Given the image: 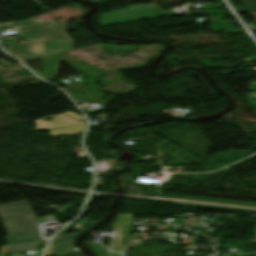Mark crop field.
<instances>
[{
  "mask_svg": "<svg viewBox=\"0 0 256 256\" xmlns=\"http://www.w3.org/2000/svg\"><path fill=\"white\" fill-rule=\"evenodd\" d=\"M29 243H31V245H28L27 242H24V243L8 246L9 252L20 251L21 253H24L25 250L33 249L37 252V255L35 256H39L41 251L38 250V245L45 244V241H42L40 239V240H37V242L30 241Z\"/></svg>",
  "mask_w": 256,
  "mask_h": 256,
  "instance_id": "6",
  "label": "crop field"
},
{
  "mask_svg": "<svg viewBox=\"0 0 256 256\" xmlns=\"http://www.w3.org/2000/svg\"><path fill=\"white\" fill-rule=\"evenodd\" d=\"M243 6L256 4V0H240Z\"/></svg>",
  "mask_w": 256,
  "mask_h": 256,
  "instance_id": "9",
  "label": "crop field"
},
{
  "mask_svg": "<svg viewBox=\"0 0 256 256\" xmlns=\"http://www.w3.org/2000/svg\"><path fill=\"white\" fill-rule=\"evenodd\" d=\"M53 118L51 121L45 119ZM48 130L50 136H65L82 133L85 130L84 120L78 122L66 115H55L44 119L36 120L35 131Z\"/></svg>",
  "mask_w": 256,
  "mask_h": 256,
  "instance_id": "4",
  "label": "crop field"
},
{
  "mask_svg": "<svg viewBox=\"0 0 256 256\" xmlns=\"http://www.w3.org/2000/svg\"><path fill=\"white\" fill-rule=\"evenodd\" d=\"M63 114H66V115H69L71 117H73L74 119L80 121V120H83L82 116L72 112V111H69V112H66V113H63Z\"/></svg>",
  "mask_w": 256,
  "mask_h": 256,
  "instance_id": "8",
  "label": "crop field"
},
{
  "mask_svg": "<svg viewBox=\"0 0 256 256\" xmlns=\"http://www.w3.org/2000/svg\"><path fill=\"white\" fill-rule=\"evenodd\" d=\"M60 256H83V254H82V251H78V252H73L70 254L60 255Z\"/></svg>",
  "mask_w": 256,
  "mask_h": 256,
  "instance_id": "10",
  "label": "crop field"
},
{
  "mask_svg": "<svg viewBox=\"0 0 256 256\" xmlns=\"http://www.w3.org/2000/svg\"><path fill=\"white\" fill-rule=\"evenodd\" d=\"M1 223L8 235V245L40 239L33 214L27 201L0 205Z\"/></svg>",
  "mask_w": 256,
  "mask_h": 256,
  "instance_id": "2",
  "label": "crop field"
},
{
  "mask_svg": "<svg viewBox=\"0 0 256 256\" xmlns=\"http://www.w3.org/2000/svg\"><path fill=\"white\" fill-rule=\"evenodd\" d=\"M80 233H72V234H64V235H57L55 237V242H53L52 244H54V248L51 249L52 251V255H59V254H63V253H68V252H72L75 251L73 248H75L73 245L74 244V239L71 240H61V241H56L59 239H68V238H73L76 237L77 235H79Z\"/></svg>",
  "mask_w": 256,
  "mask_h": 256,
  "instance_id": "5",
  "label": "crop field"
},
{
  "mask_svg": "<svg viewBox=\"0 0 256 256\" xmlns=\"http://www.w3.org/2000/svg\"><path fill=\"white\" fill-rule=\"evenodd\" d=\"M248 14H250L252 17L256 19V13H248Z\"/></svg>",
  "mask_w": 256,
  "mask_h": 256,
  "instance_id": "11",
  "label": "crop field"
},
{
  "mask_svg": "<svg viewBox=\"0 0 256 256\" xmlns=\"http://www.w3.org/2000/svg\"><path fill=\"white\" fill-rule=\"evenodd\" d=\"M236 12H256V6L236 9Z\"/></svg>",
  "mask_w": 256,
  "mask_h": 256,
  "instance_id": "7",
  "label": "crop field"
},
{
  "mask_svg": "<svg viewBox=\"0 0 256 256\" xmlns=\"http://www.w3.org/2000/svg\"><path fill=\"white\" fill-rule=\"evenodd\" d=\"M163 15H167L166 11L154 4L136 5L128 6L121 10H114L109 14H101L99 23L100 25L113 24L119 22L135 21L141 18L151 19L153 17H159Z\"/></svg>",
  "mask_w": 256,
  "mask_h": 256,
  "instance_id": "3",
  "label": "crop field"
},
{
  "mask_svg": "<svg viewBox=\"0 0 256 256\" xmlns=\"http://www.w3.org/2000/svg\"><path fill=\"white\" fill-rule=\"evenodd\" d=\"M17 27L30 44L7 46V52L24 62L73 50L72 38L69 39L66 33L67 25H55L54 22L36 23L34 19L0 24V30ZM35 33L44 34L25 37Z\"/></svg>",
  "mask_w": 256,
  "mask_h": 256,
  "instance_id": "1",
  "label": "crop field"
}]
</instances>
